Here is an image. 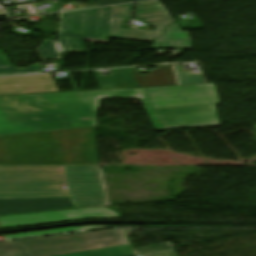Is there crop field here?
Instances as JSON below:
<instances>
[{
    "instance_id": "obj_1",
    "label": "crop field",
    "mask_w": 256,
    "mask_h": 256,
    "mask_svg": "<svg viewBox=\"0 0 256 256\" xmlns=\"http://www.w3.org/2000/svg\"><path fill=\"white\" fill-rule=\"evenodd\" d=\"M136 98L133 89L0 97V135L97 125L98 99Z\"/></svg>"
},
{
    "instance_id": "obj_2",
    "label": "crop field",
    "mask_w": 256,
    "mask_h": 256,
    "mask_svg": "<svg viewBox=\"0 0 256 256\" xmlns=\"http://www.w3.org/2000/svg\"><path fill=\"white\" fill-rule=\"evenodd\" d=\"M27 197H72L77 207L108 203L100 167H0V198Z\"/></svg>"
},
{
    "instance_id": "obj_3",
    "label": "crop field",
    "mask_w": 256,
    "mask_h": 256,
    "mask_svg": "<svg viewBox=\"0 0 256 256\" xmlns=\"http://www.w3.org/2000/svg\"><path fill=\"white\" fill-rule=\"evenodd\" d=\"M0 165H98L94 128L1 136Z\"/></svg>"
},
{
    "instance_id": "obj_4",
    "label": "crop field",
    "mask_w": 256,
    "mask_h": 256,
    "mask_svg": "<svg viewBox=\"0 0 256 256\" xmlns=\"http://www.w3.org/2000/svg\"><path fill=\"white\" fill-rule=\"evenodd\" d=\"M167 128L218 126L214 85L147 88Z\"/></svg>"
},
{
    "instance_id": "obj_5",
    "label": "crop field",
    "mask_w": 256,
    "mask_h": 256,
    "mask_svg": "<svg viewBox=\"0 0 256 256\" xmlns=\"http://www.w3.org/2000/svg\"><path fill=\"white\" fill-rule=\"evenodd\" d=\"M113 7L60 13L58 42L63 53H87L83 41L63 37L107 43L114 14ZM43 61L60 60L56 42L44 40L38 47Z\"/></svg>"
},
{
    "instance_id": "obj_6",
    "label": "crop field",
    "mask_w": 256,
    "mask_h": 256,
    "mask_svg": "<svg viewBox=\"0 0 256 256\" xmlns=\"http://www.w3.org/2000/svg\"><path fill=\"white\" fill-rule=\"evenodd\" d=\"M133 4L116 6L110 37L151 42L157 38L167 26L172 23L170 16L159 1L138 3L136 19H143L154 27V31L120 29L122 18H131ZM154 48L191 49L188 32H181L176 23L166 29L164 34L155 40Z\"/></svg>"
},
{
    "instance_id": "obj_7",
    "label": "crop field",
    "mask_w": 256,
    "mask_h": 256,
    "mask_svg": "<svg viewBox=\"0 0 256 256\" xmlns=\"http://www.w3.org/2000/svg\"><path fill=\"white\" fill-rule=\"evenodd\" d=\"M129 244L123 229L0 243V256H51Z\"/></svg>"
},
{
    "instance_id": "obj_8",
    "label": "crop field",
    "mask_w": 256,
    "mask_h": 256,
    "mask_svg": "<svg viewBox=\"0 0 256 256\" xmlns=\"http://www.w3.org/2000/svg\"><path fill=\"white\" fill-rule=\"evenodd\" d=\"M89 218H120L106 208L72 209L0 217L4 229L82 220Z\"/></svg>"
},
{
    "instance_id": "obj_9",
    "label": "crop field",
    "mask_w": 256,
    "mask_h": 256,
    "mask_svg": "<svg viewBox=\"0 0 256 256\" xmlns=\"http://www.w3.org/2000/svg\"><path fill=\"white\" fill-rule=\"evenodd\" d=\"M77 208L72 198L0 199V216Z\"/></svg>"
},
{
    "instance_id": "obj_10",
    "label": "crop field",
    "mask_w": 256,
    "mask_h": 256,
    "mask_svg": "<svg viewBox=\"0 0 256 256\" xmlns=\"http://www.w3.org/2000/svg\"><path fill=\"white\" fill-rule=\"evenodd\" d=\"M50 74L0 78V95L57 92Z\"/></svg>"
},
{
    "instance_id": "obj_11",
    "label": "crop field",
    "mask_w": 256,
    "mask_h": 256,
    "mask_svg": "<svg viewBox=\"0 0 256 256\" xmlns=\"http://www.w3.org/2000/svg\"><path fill=\"white\" fill-rule=\"evenodd\" d=\"M156 67L150 74H141L138 68H132L139 87L178 85L173 65Z\"/></svg>"
},
{
    "instance_id": "obj_12",
    "label": "crop field",
    "mask_w": 256,
    "mask_h": 256,
    "mask_svg": "<svg viewBox=\"0 0 256 256\" xmlns=\"http://www.w3.org/2000/svg\"><path fill=\"white\" fill-rule=\"evenodd\" d=\"M135 95L140 99L156 130H166L146 88L134 89Z\"/></svg>"
},
{
    "instance_id": "obj_13",
    "label": "crop field",
    "mask_w": 256,
    "mask_h": 256,
    "mask_svg": "<svg viewBox=\"0 0 256 256\" xmlns=\"http://www.w3.org/2000/svg\"><path fill=\"white\" fill-rule=\"evenodd\" d=\"M58 256H133L130 246H119L105 249H97L83 252H76Z\"/></svg>"
},
{
    "instance_id": "obj_14",
    "label": "crop field",
    "mask_w": 256,
    "mask_h": 256,
    "mask_svg": "<svg viewBox=\"0 0 256 256\" xmlns=\"http://www.w3.org/2000/svg\"><path fill=\"white\" fill-rule=\"evenodd\" d=\"M134 250L136 256H176L175 251L171 246L170 242L136 248Z\"/></svg>"
},
{
    "instance_id": "obj_15",
    "label": "crop field",
    "mask_w": 256,
    "mask_h": 256,
    "mask_svg": "<svg viewBox=\"0 0 256 256\" xmlns=\"http://www.w3.org/2000/svg\"><path fill=\"white\" fill-rule=\"evenodd\" d=\"M41 72V62L28 68L11 67L6 59L0 54V75L23 74Z\"/></svg>"
},
{
    "instance_id": "obj_16",
    "label": "crop field",
    "mask_w": 256,
    "mask_h": 256,
    "mask_svg": "<svg viewBox=\"0 0 256 256\" xmlns=\"http://www.w3.org/2000/svg\"><path fill=\"white\" fill-rule=\"evenodd\" d=\"M94 228H107V227H75V228L46 230V231H37V232H28V233L9 234V235H4V237L6 239H11V238L49 235V234H59V233H65V231L72 232V231L88 230V229H94Z\"/></svg>"
},
{
    "instance_id": "obj_17",
    "label": "crop field",
    "mask_w": 256,
    "mask_h": 256,
    "mask_svg": "<svg viewBox=\"0 0 256 256\" xmlns=\"http://www.w3.org/2000/svg\"><path fill=\"white\" fill-rule=\"evenodd\" d=\"M134 1H142V0H96V5H111V4H120Z\"/></svg>"
},
{
    "instance_id": "obj_18",
    "label": "crop field",
    "mask_w": 256,
    "mask_h": 256,
    "mask_svg": "<svg viewBox=\"0 0 256 256\" xmlns=\"http://www.w3.org/2000/svg\"><path fill=\"white\" fill-rule=\"evenodd\" d=\"M1 16H6L5 13L2 11V9L0 8V17Z\"/></svg>"
}]
</instances>
